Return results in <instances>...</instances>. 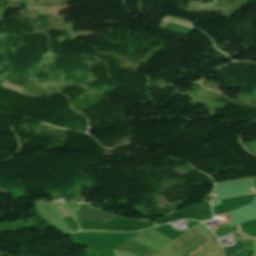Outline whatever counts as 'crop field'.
<instances>
[{
  "label": "crop field",
  "mask_w": 256,
  "mask_h": 256,
  "mask_svg": "<svg viewBox=\"0 0 256 256\" xmlns=\"http://www.w3.org/2000/svg\"><path fill=\"white\" fill-rule=\"evenodd\" d=\"M133 239L156 251L160 250L165 244L172 241L152 229L139 233L138 236H135ZM134 240H130L118 248L140 253L142 256H149L156 252Z\"/></svg>",
  "instance_id": "1"
},
{
  "label": "crop field",
  "mask_w": 256,
  "mask_h": 256,
  "mask_svg": "<svg viewBox=\"0 0 256 256\" xmlns=\"http://www.w3.org/2000/svg\"><path fill=\"white\" fill-rule=\"evenodd\" d=\"M208 239L205 238L198 230L195 228L188 231L182 237L174 241L173 243L185 254L187 255L193 249L197 248Z\"/></svg>",
  "instance_id": "2"
},
{
  "label": "crop field",
  "mask_w": 256,
  "mask_h": 256,
  "mask_svg": "<svg viewBox=\"0 0 256 256\" xmlns=\"http://www.w3.org/2000/svg\"><path fill=\"white\" fill-rule=\"evenodd\" d=\"M189 256H223V251L214 235L206 243L192 251Z\"/></svg>",
  "instance_id": "3"
},
{
  "label": "crop field",
  "mask_w": 256,
  "mask_h": 256,
  "mask_svg": "<svg viewBox=\"0 0 256 256\" xmlns=\"http://www.w3.org/2000/svg\"><path fill=\"white\" fill-rule=\"evenodd\" d=\"M80 209L82 221H110L114 217V215L94 208L80 207Z\"/></svg>",
  "instance_id": "4"
},
{
  "label": "crop field",
  "mask_w": 256,
  "mask_h": 256,
  "mask_svg": "<svg viewBox=\"0 0 256 256\" xmlns=\"http://www.w3.org/2000/svg\"><path fill=\"white\" fill-rule=\"evenodd\" d=\"M60 205V204H59ZM62 205V204H61ZM61 205H60V207H61ZM62 208L64 209V207L62 206ZM61 208V209H62ZM62 209V210H63ZM64 211V210H63ZM67 212V211H66ZM65 211H64V213L67 215V213H66ZM69 215V214H68ZM65 223H66V225L71 229V231L72 232H77V231H79V226H78V224L73 220V218L71 217V215H69V216H66V217H62L61 218Z\"/></svg>",
  "instance_id": "5"
},
{
  "label": "crop field",
  "mask_w": 256,
  "mask_h": 256,
  "mask_svg": "<svg viewBox=\"0 0 256 256\" xmlns=\"http://www.w3.org/2000/svg\"><path fill=\"white\" fill-rule=\"evenodd\" d=\"M241 228H242V232H243V223L241 224ZM241 228H240V224H239L237 226L225 228V229L217 232L216 234L219 237L220 235H223V234H226V233H229V232L241 231Z\"/></svg>",
  "instance_id": "6"
},
{
  "label": "crop field",
  "mask_w": 256,
  "mask_h": 256,
  "mask_svg": "<svg viewBox=\"0 0 256 256\" xmlns=\"http://www.w3.org/2000/svg\"><path fill=\"white\" fill-rule=\"evenodd\" d=\"M248 253V248L245 247L244 249H242L240 252H238L237 254L233 255V256H247Z\"/></svg>",
  "instance_id": "7"
},
{
  "label": "crop field",
  "mask_w": 256,
  "mask_h": 256,
  "mask_svg": "<svg viewBox=\"0 0 256 256\" xmlns=\"http://www.w3.org/2000/svg\"><path fill=\"white\" fill-rule=\"evenodd\" d=\"M251 179H252L253 184H254V186H255V188H256V178H251Z\"/></svg>",
  "instance_id": "8"
}]
</instances>
